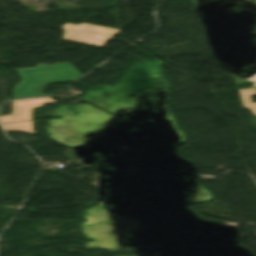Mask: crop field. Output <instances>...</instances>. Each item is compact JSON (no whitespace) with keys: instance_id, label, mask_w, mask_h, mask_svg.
<instances>
[{"instance_id":"obj_1","label":"crop field","mask_w":256,"mask_h":256,"mask_svg":"<svg viewBox=\"0 0 256 256\" xmlns=\"http://www.w3.org/2000/svg\"><path fill=\"white\" fill-rule=\"evenodd\" d=\"M37 68L15 69L23 79L13 87L14 99L42 96L46 85L66 83L82 75L70 64H41Z\"/></svg>"}]
</instances>
